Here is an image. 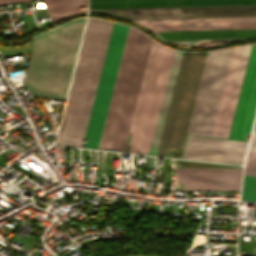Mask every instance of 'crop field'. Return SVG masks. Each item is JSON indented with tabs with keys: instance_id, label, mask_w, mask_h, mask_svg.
I'll use <instances>...</instances> for the list:
<instances>
[{
	"instance_id": "obj_1",
	"label": "crop field",
	"mask_w": 256,
	"mask_h": 256,
	"mask_svg": "<svg viewBox=\"0 0 256 256\" xmlns=\"http://www.w3.org/2000/svg\"><path fill=\"white\" fill-rule=\"evenodd\" d=\"M252 45L207 53L187 134L227 138Z\"/></svg>"
},
{
	"instance_id": "obj_2",
	"label": "crop field",
	"mask_w": 256,
	"mask_h": 256,
	"mask_svg": "<svg viewBox=\"0 0 256 256\" xmlns=\"http://www.w3.org/2000/svg\"><path fill=\"white\" fill-rule=\"evenodd\" d=\"M112 24L87 20L57 144L79 146L83 138Z\"/></svg>"
},
{
	"instance_id": "obj_3",
	"label": "crop field",
	"mask_w": 256,
	"mask_h": 256,
	"mask_svg": "<svg viewBox=\"0 0 256 256\" xmlns=\"http://www.w3.org/2000/svg\"><path fill=\"white\" fill-rule=\"evenodd\" d=\"M84 20H72L36 37L24 80L33 97L65 99Z\"/></svg>"
},
{
	"instance_id": "obj_4",
	"label": "crop field",
	"mask_w": 256,
	"mask_h": 256,
	"mask_svg": "<svg viewBox=\"0 0 256 256\" xmlns=\"http://www.w3.org/2000/svg\"><path fill=\"white\" fill-rule=\"evenodd\" d=\"M173 51L152 42L129 134L133 137L128 152L148 153Z\"/></svg>"
},
{
	"instance_id": "obj_5",
	"label": "crop field",
	"mask_w": 256,
	"mask_h": 256,
	"mask_svg": "<svg viewBox=\"0 0 256 256\" xmlns=\"http://www.w3.org/2000/svg\"><path fill=\"white\" fill-rule=\"evenodd\" d=\"M206 53H183L157 155L183 149Z\"/></svg>"
},
{
	"instance_id": "obj_6",
	"label": "crop field",
	"mask_w": 256,
	"mask_h": 256,
	"mask_svg": "<svg viewBox=\"0 0 256 256\" xmlns=\"http://www.w3.org/2000/svg\"><path fill=\"white\" fill-rule=\"evenodd\" d=\"M127 28V26H124L122 24H113L108 48L106 51L100 79L98 82L93 106L91 109L84 137V140H87L85 147H98Z\"/></svg>"
},
{
	"instance_id": "obj_7",
	"label": "crop field",
	"mask_w": 256,
	"mask_h": 256,
	"mask_svg": "<svg viewBox=\"0 0 256 256\" xmlns=\"http://www.w3.org/2000/svg\"><path fill=\"white\" fill-rule=\"evenodd\" d=\"M248 142L188 135L183 157L243 164Z\"/></svg>"
},
{
	"instance_id": "obj_8",
	"label": "crop field",
	"mask_w": 256,
	"mask_h": 256,
	"mask_svg": "<svg viewBox=\"0 0 256 256\" xmlns=\"http://www.w3.org/2000/svg\"><path fill=\"white\" fill-rule=\"evenodd\" d=\"M242 168L176 167L187 190H239Z\"/></svg>"
},
{
	"instance_id": "obj_9",
	"label": "crop field",
	"mask_w": 256,
	"mask_h": 256,
	"mask_svg": "<svg viewBox=\"0 0 256 256\" xmlns=\"http://www.w3.org/2000/svg\"><path fill=\"white\" fill-rule=\"evenodd\" d=\"M256 111V44H253L229 137L249 141Z\"/></svg>"
},
{
	"instance_id": "obj_10",
	"label": "crop field",
	"mask_w": 256,
	"mask_h": 256,
	"mask_svg": "<svg viewBox=\"0 0 256 256\" xmlns=\"http://www.w3.org/2000/svg\"><path fill=\"white\" fill-rule=\"evenodd\" d=\"M182 53L183 52H181V51H177V50L174 51L167 83L165 86V90H164V94H163V98H162V102H161V106H160V110H159V114H158V118L156 121V125H155V129H154V133H153V137H152V141H151V145H150L148 154H154V155L157 154V150H158L162 130L164 127L169 103L171 100L175 80L177 77Z\"/></svg>"
},
{
	"instance_id": "obj_11",
	"label": "crop field",
	"mask_w": 256,
	"mask_h": 256,
	"mask_svg": "<svg viewBox=\"0 0 256 256\" xmlns=\"http://www.w3.org/2000/svg\"><path fill=\"white\" fill-rule=\"evenodd\" d=\"M31 1V0H0L1 4ZM51 23H56L70 15L86 13V11H79L80 5H86L87 0H44Z\"/></svg>"
},
{
	"instance_id": "obj_12",
	"label": "crop field",
	"mask_w": 256,
	"mask_h": 256,
	"mask_svg": "<svg viewBox=\"0 0 256 256\" xmlns=\"http://www.w3.org/2000/svg\"><path fill=\"white\" fill-rule=\"evenodd\" d=\"M256 130V124L255 128ZM256 152V131L253 132L249 150ZM248 152L244 174L256 176V153ZM244 175L242 199L256 201V177Z\"/></svg>"
},
{
	"instance_id": "obj_13",
	"label": "crop field",
	"mask_w": 256,
	"mask_h": 256,
	"mask_svg": "<svg viewBox=\"0 0 256 256\" xmlns=\"http://www.w3.org/2000/svg\"><path fill=\"white\" fill-rule=\"evenodd\" d=\"M131 137H132V136H129V137H128V141H127V145H126L125 152L128 151V147H129V144H130V141H131Z\"/></svg>"
}]
</instances>
